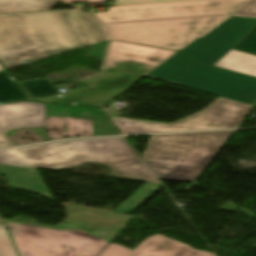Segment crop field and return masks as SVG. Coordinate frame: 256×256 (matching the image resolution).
Here are the masks:
<instances>
[{"label":"crop field","mask_w":256,"mask_h":256,"mask_svg":"<svg viewBox=\"0 0 256 256\" xmlns=\"http://www.w3.org/2000/svg\"><path fill=\"white\" fill-rule=\"evenodd\" d=\"M255 24L256 19L231 16L204 37L193 40L147 78L253 105L256 78L212 65Z\"/></svg>","instance_id":"1"},{"label":"crop field","mask_w":256,"mask_h":256,"mask_svg":"<svg viewBox=\"0 0 256 256\" xmlns=\"http://www.w3.org/2000/svg\"><path fill=\"white\" fill-rule=\"evenodd\" d=\"M89 162L110 167L117 178L161 184L125 137L63 141L0 152L1 164L45 170L70 169Z\"/></svg>","instance_id":"2"},{"label":"crop field","mask_w":256,"mask_h":256,"mask_svg":"<svg viewBox=\"0 0 256 256\" xmlns=\"http://www.w3.org/2000/svg\"><path fill=\"white\" fill-rule=\"evenodd\" d=\"M175 53L177 52L111 40L103 73L76 82L89 87L67 92L64 96L36 101L102 108L103 101L124 92ZM74 101L78 104H73Z\"/></svg>","instance_id":"3"},{"label":"crop field","mask_w":256,"mask_h":256,"mask_svg":"<svg viewBox=\"0 0 256 256\" xmlns=\"http://www.w3.org/2000/svg\"><path fill=\"white\" fill-rule=\"evenodd\" d=\"M231 132L151 136L143 158L157 178L192 182Z\"/></svg>","instance_id":"4"},{"label":"crop field","mask_w":256,"mask_h":256,"mask_svg":"<svg viewBox=\"0 0 256 256\" xmlns=\"http://www.w3.org/2000/svg\"><path fill=\"white\" fill-rule=\"evenodd\" d=\"M78 46L60 11L0 14V55Z\"/></svg>","instance_id":"5"},{"label":"crop field","mask_w":256,"mask_h":256,"mask_svg":"<svg viewBox=\"0 0 256 256\" xmlns=\"http://www.w3.org/2000/svg\"><path fill=\"white\" fill-rule=\"evenodd\" d=\"M229 16L129 22L104 25L113 40L179 51Z\"/></svg>","instance_id":"6"},{"label":"crop field","mask_w":256,"mask_h":256,"mask_svg":"<svg viewBox=\"0 0 256 256\" xmlns=\"http://www.w3.org/2000/svg\"><path fill=\"white\" fill-rule=\"evenodd\" d=\"M7 225L21 256H97L109 243L78 231Z\"/></svg>","instance_id":"7"},{"label":"crop field","mask_w":256,"mask_h":256,"mask_svg":"<svg viewBox=\"0 0 256 256\" xmlns=\"http://www.w3.org/2000/svg\"><path fill=\"white\" fill-rule=\"evenodd\" d=\"M251 105L219 97L203 111L173 124L114 118L125 134L236 127Z\"/></svg>","instance_id":"8"},{"label":"crop field","mask_w":256,"mask_h":256,"mask_svg":"<svg viewBox=\"0 0 256 256\" xmlns=\"http://www.w3.org/2000/svg\"><path fill=\"white\" fill-rule=\"evenodd\" d=\"M249 0H204L108 7L109 12L90 13L102 22L230 14Z\"/></svg>","instance_id":"9"},{"label":"crop field","mask_w":256,"mask_h":256,"mask_svg":"<svg viewBox=\"0 0 256 256\" xmlns=\"http://www.w3.org/2000/svg\"><path fill=\"white\" fill-rule=\"evenodd\" d=\"M45 110L48 140L120 134L104 110L50 104H45Z\"/></svg>","instance_id":"10"},{"label":"crop field","mask_w":256,"mask_h":256,"mask_svg":"<svg viewBox=\"0 0 256 256\" xmlns=\"http://www.w3.org/2000/svg\"><path fill=\"white\" fill-rule=\"evenodd\" d=\"M100 256H216L198 251L188 245L168 239L158 234L145 239L136 249L131 251L125 247L111 243Z\"/></svg>","instance_id":"11"},{"label":"crop field","mask_w":256,"mask_h":256,"mask_svg":"<svg viewBox=\"0 0 256 256\" xmlns=\"http://www.w3.org/2000/svg\"><path fill=\"white\" fill-rule=\"evenodd\" d=\"M45 127L44 104L17 102L0 105V148L12 146L6 136L10 129Z\"/></svg>","instance_id":"12"},{"label":"crop field","mask_w":256,"mask_h":256,"mask_svg":"<svg viewBox=\"0 0 256 256\" xmlns=\"http://www.w3.org/2000/svg\"><path fill=\"white\" fill-rule=\"evenodd\" d=\"M61 11L79 46L84 47L108 39L99 23L77 9Z\"/></svg>","instance_id":"13"},{"label":"crop field","mask_w":256,"mask_h":256,"mask_svg":"<svg viewBox=\"0 0 256 256\" xmlns=\"http://www.w3.org/2000/svg\"><path fill=\"white\" fill-rule=\"evenodd\" d=\"M0 174L7 177L13 188L35 192L52 200L36 169L0 164Z\"/></svg>","instance_id":"14"},{"label":"crop field","mask_w":256,"mask_h":256,"mask_svg":"<svg viewBox=\"0 0 256 256\" xmlns=\"http://www.w3.org/2000/svg\"><path fill=\"white\" fill-rule=\"evenodd\" d=\"M214 66L256 77V56L231 49Z\"/></svg>","instance_id":"15"},{"label":"crop field","mask_w":256,"mask_h":256,"mask_svg":"<svg viewBox=\"0 0 256 256\" xmlns=\"http://www.w3.org/2000/svg\"><path fill=\"white\" fill-rule=\"evenodd\" d=\"M53 0H0V13L50 10Z\"/></svg>","instance_id":"16"},{"label":"crop field","mask_w":256,"mask_h":256,"mask_svg":"<svg viewBox=\"0 0 256 256\" xmlns=\"http://www.w3.org/2000/svg\"><path fill=\"white\" fill-rule=\"evenodd\" d=\"M161 186L162 185L158 184L144 183L137 191H135L131 196H129L112 212L129 215L148 197H150L154 192H156Z\"/></svg>","instance_id":"17"},{"label":"crop field","mask_w":256,"mask_h":256,"mask_svg":"<svg viewBox=\"0 0 256 256\" xmlns=\"http://www.w3.org/2000/svg\"><path fill=\"white\" fill-rule=\"evenodd\" d=\"M31 99L6 70L0 72V103Z\"/></svg>","instance_id":"18"},{"label":"crop field","mask_w":256,"mask_h":256,"mask_svg":"<svg viewBox=\"0 0 256 256\" xmlns=\"http://www.w3.org/2000/svg\"><path fill=\"white\" fill-rule=\"evenodd\" d=\"M76 48H80V47H76ZM76 48H73V49H76ZM59 51H68V50H53V51L39 52L37 48H34V49L21 51L14 54L0 56V61L3 63L6 69H8V68L20 65V63L27 58L43 59Z\"/></svg>","instance_id":"19"},{"label":"crop field","mask_w":256,"mask_h":256,"mask_svg":"<svg viewBox=\"0 0 256 256\" xmlns=\"http://www.w3.org/2000/svg\"><path fill=\"white\" fill-rule=\"evenodd\" d=\"M19 83L33 98L60 94L48 79L22 81Z\"/></svg>","instance_id":"20"},{"label":"crop field","mask_w":256,"mask_h":256,"mask_svg":"<svg viewBox=\"0 0 256 256\" xmlns=\"http://www.w3.org/2000/svg\"><path fill=\"white\" fill-rule=\"evenodd\" d=\"M256 55V25L233 47Z\"/></svg>","instance_id":"21"},{"label":"crop field","mask_w":256,"mask_h":256,"mask_svg":"<svg viewBox=\"0 0 256 256\" xmlns=\"http://www.w3.org/2000/svg\"><path fill=\"white\" fill-rule=\"evenodd\" d=\"M0 256H17L3 223H0Z\"/></svg>","instance_id":"22"},{"label":"crop field","mask_w":256,"mask_h":256,"mask_svg":"<svg viewBox=\"0 0 256 256\" xmlns=\"http://www.w3.org/2000/svg\"><path fill=\"white\" fill-rule=\"evenodd\" d=\"M232 14L256 17V0H250L248 3L237 9Z\"/></svg>","instance_id":"23"},{"label":"crop field","mask_w":256,"mask_h":256,"mask_svg":"<svg viewBox=\"0 0 256 256\" xmlns=\"http://www.w3.org/2000/svg\"><path fill=\"white\" fill-rule=\"evenodd\" d=\"M175 1H189V0H115L114 6L147 4V3H161V2H175Z\"/></svg>","instance_id":"24"},{"label":"crop field","mask_w":256,"mask_h":256,"mask_svg":"<svg viewBox=\"0 0 256 256\" xmlns=\"http://www.w3.org/2000/svg\"><path fill=\"white\" fill-rule=\"evenodd\" d=\"M106 46H107V40L94 44L92 46V50H91L90 55L103 60L105 50H106Z\"/></svg>","instance_id":"25"},{"label":"crop field","mask_w":256,"mask_h":256,"mask_svg":"<svg viewBox=\"0 0 256 256\" xmlns=\"http://www.w3.org/2000/svg\"><path fill=\"white\" fill-rule=\"evenodd\" d=\"M67 3H77V2H89V1H105V0H60Z\"/></svg>","instance_id":"26"},{"label":"crop field","mask_w":256,"mask_h":256,"mask_svg":"<svg viewBox=\"0 0 256 256\" xmlns=\"http://www.w3.org/2000/svg\"><path fill=\"white\" fill-rule=\"evenodd\" d=\"M1 70H4V68L0 65V71H1Z\"/></svg>","instance_id":"27"},{"label":"crop field","mask_w":256,"mask_h":256,"mask_svg":"<svg viewBox=\"0 0 256 256\" xmlns=\"http://www.w3.org/2000/svg\"><path fill=\"white\" fill-rule=\"evenodd\" d=\"M256 106V105H255Z\"/></svg>","instance_id":"28"}]
</instances>
